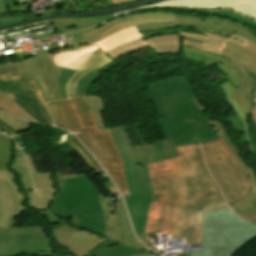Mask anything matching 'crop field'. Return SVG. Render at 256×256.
Returning a JSON list of instances; mask_svg holds the SVG:
<instances>
[{"label": "crop field", "instance_id": "1", "mask_svg": "<svg viewBox=\"0 0 256 256\" xmlns=\"http://www.w3.org/2000/svg\"><path fill=\"white\" fill-rule=\"evenodd\" d=\"M148 95L162 119L157 120L165 137L148 144L138 123L133 124L140 145L132 146L126 127L109 129L124 163L130 195L123 196L133 228L149 248L157 250L144 233L153 189L147 165L176 158L175 146L218 140L198 109L192 86L183 77H172L148 86ZM137 213V214H136Z\"/></svg>", "mask_w": 256, "mask_h": 256}, {"label": "crop field", "instance_id": "2", "mask_svg": "<svg viewBox=\"0 0 256 256\" xmlns=\"http://www.w3.org/2000/svg\"><path fill=\"white\" fill-rule=\"evenodd\" d=\"M176 148L179 158L148 166L154 197L145 232L170 233L185 238L186 244H201L202 213L226 204L206 169L200 146Z\"/></svg>", "mask_w": 256, "mask_h": 256}, {"label": "crop field", "instance_id": "3", "mask_svg": "<svg viewBox=\"0 0 256 256\" xmlns=\"http://www.w3.org/2000/svg\"><path fill=\"white\" fill-rule=\"evenodd\" d=\"M63 182L64 191L56 193L51 211L64 219L72 216L74 219L69 223L74 226L152 253L131 231L121 198L117 205V214L111 216L107 200L99 194L95 184L87 177L66 179Z\"/></svg>", "mask_w": 256, "mask_h": 256}, {"label": "crop field", "instance_id": "4", "mask_svg": "<svg viewBox=\"0 0 256 256\" xmlns=\"http://www.w3.org/2000/svg\"><path fill=\"white\" fill-rule=\"evenodd\" d=\"M175 21L168 13L137 14L111 22L99 30L94 27L64 35L65 46L46 49L56 66L77 70L94 53L107 52L121 44L141 38L135 24L143 22Z\"/></svg>", "mask_w": 256, "mask_h": 256}, {"label": "crop field", "instance_id": "5", "mask_svg": "<svg viewBox=\"0 0 256 256\" xmlns=\"http://www.w3.org/2000/svg\"><path fill=\"white\" fill-rule=\"evenodd\" d=\"M256 237V227L228 207L203 214L201 250L190 256H228Z\"/></svg>", "mask_w": 256, "mask_h": 256}, {"label": "crop field", "instance_id": "6", "mask_svg": "<svg viewBox=\"0 0 256 256\" xmlns=\"http://www.w3.org/2000/svg\"><path fill=\"white\" fill-rule=\"evenodd\" d=\"M209 171L218 183L227 202H236L249 193L248 183L241 169L221 140L201 144Z\"/></svg>", "mask_w": 256, "mask_h": 256}, {"label": "crop field", "instance_id": "7", "mask_svg": "<svg viewBox=\"0 0 256 256\" xmlns=\"http://www.w3.org/2000/svg\"><path fill=\"white\" fill-rule=\"evenodd\" d=\"M182 49L212 57L222 63L217 67L227 76L229 80L223 85L217 87L225 96L223 100L232 109L244 126V121L252 107L253 93L256 91L253 81L243 74L230 61L222 57L189 47L182 46Z\"/></svg>", "mask_w": 256, "mask_h": 256}, {"label": "crop field", "instance_id": "8", "mask_svg": "<svg viewBox=\"0 0 256 256\" xmlns=\"http://www.w3.org/2000/svg\"><path fill=\"white\" fill-rule=\"evenodd\" d=\"M0 91L23 108L38 123L53 126L44 106L47 101L35 78L24 81L18 70L1 72Z\"/></svg>", "mask_w": 256, "mask_h": 256}, {"label": "crop field", "instance_id": "9", "mask_svg": "<svg viewBox=\"0 0 256 256\" xmlns=\"http://www.w3.org/2000/svg\"><path fill=\"white\" fill-rule=\"evenodd\" d=\"M76 136L103 165L122 195L129 194L124 178L123 164L109 130L78 133Z\"/></svg>", "mask_w": 256, "mask_h": 256}, {"label": "crop field", "instance_id": "10", "mask_svg": "<svg viewBox=\"0 0 256 256\" xmlns=\"http://www.w3.org/2000/svg\"><path fill=\"white\" fill-rule=\"evenodd\" d=\"M55 126L72 132L97 130L86 97L48 103Z\"/></svg>", "mask_w": 256, "mask_h": 256}, {"label": "crop field", "instance_id": "11", "mask_svg": "<svg viewBox=\"0 0 256 256\" xmlns=\"http://www.w3.org/2000/svg\"><path fill=\"white\" fill-rule=\"evenodd\" d=\"M37 55L17 63L24 80L35 77L48 102L62 99L57 80L63 68L54 66L44 50L37 51Z\"/></svg>", "mask_w": 256, "mask_h": 256}, {"label": "crop field", "instance_id": "12", "mask_svg": "<svg viewBox=\"0 0 256 256\" xmlns=\"http://www.w3.org/2000/svg\"><path fill=\"white\" fill-rule=\"evenodd\" d=\"M27 254L55 256L51 246V239H48L46 234H0V256H14Z\"/></svg>", "mask_w": 256, "mask_h": 256}, {"label": "crop field", "instance_id": "13", "mask_svg": "<svg viewBox=\"0 0 256 256\" xmlns=\"http://www.w3.org/2000/svg\"><path fill=\"white\" fill-rule=\"evenodd\" d=\"M14 180L15 176L10 170L0 168V227L6 230L13 226L16 216L27 211L26 207L20 206L26 197L11 183Z\"/></svg>", "mask_w": 256, "mask_h": 256}, {"label": "crop field", "instance_id": "14", "mask_svg": "<svg viewBox=\"0 0 256 256\" xmlns=\"http://www.w3.org/2000/svg\"><path fill=\"white\" fill-rule=\"evenodd\" d=\"M158 8L230 9L256 20V0H165Z\"/></svg>", "mask_w": 256, "mask_h": 256}, {"label": "crop field", "instance_id": "15", "mask_svg": "<svg viewBox=\"0 0 256 256\" xmlns=\"http://www.w3.org/2000/svg\"><path fill=\"white\" fill-rule=\"evenodd\" d=\"M176 24H192L206 26L212 29L224 31L228 34L236 33L256 41V35L248 28L239 26L233 22L215 18H194L176 15V22L144 23L137 25L140 32L157 29L177 28Z\"/></svg>", "mask_w": 256, "mask_h": 256}, {"label": "crop field", "instance_id": "16", "mask_svg": "<svg viewBox=\"0 0 256 256\" xmlns=\"http://www.w3.org/2000/svg\"><path fill=\"white\" fill-rule=\"evenodd\" d=\"M197 105L199 106L200 110L205 111L206 108L200 105L198 99L194 100ZM201 111V112H202ZM208 121L211 123L213 128L215 129L217 135L220 137L222 142L225 144V146L229 149V151L232 153L235 161L238 163L242 171L244 172L248 182H252L251 191L247 195V197L243 200H240L232 205H230V209L236 212L238 215L242 214L244 212L250 211L255 207V205L250 201L252 199H256V175L254 172L248 167V165L245 163L243 158L241 157L240 153L237 151L233 143L230 141L224 127L220 123L219 120H214L213 117H207ZM252 194V195H251ZM235 213V214H236Z\"/></svg>", "mask_w": 256, "mask_h": 256}, {"label": "crop field", "instance_id": "17", "mask_svg": "<svg viewBox=\"0 0 256 256\" xmlns=\"http://www.w3.org/2000/svg\"><path fill=\"white\" fill-rule=\"evenodd\" d=\"M178 34L182 35V44L195 46L218 55H220L227 41L256 53V44L238 35H232L228 40V37L197 29L193 33L178 32Z\"/></svg>", "mask_w": 256, "mask_h": 256}, {"label": "crop field", "instance_id": "18", "mask_svg": "<svg viewBox=\"0 0 256 256\" xmlns=\"http://www.w3.org/2000/svg\"><path fill=\"white\" fill-rule=\"evenodd\" d=\"M52 233L55 234L61 245L75 256H87L88 251L94 245L106 238V236L93 234L69 223L53 230Z\"/></svg>", "mask_w": 256, "mask_h": 256}, {"label": "crop field", "instance_id": "19", "mask_svg": "<svg viewBox=\"0 0 256 256\" xmlns=\"http://www.w3.org/2000/svg\"><path fill=\"white\" fill-rule=\"evenodd\" d=\"M30 168L36 192H28L31 206L36 210L50 209V203L54 194L58 191L53 187V179L50 172L38 174L33 163L32 155H25ZM57 180L60 190H63L61 172H57Z\"/></svg>", "mask_w": 256, "mask_h": 256}, {"label": "crop field", "instance_id": "20", "mask_svg": "<svg viewBox=\"0 0 256 256\" xmlns=\"http://www.w3.org/2000/svg\"><path fill=\"white\" fill-rule=\"evenodd\" d=\"M157 9L156 4H150V5H145L141 7L134 8L132 10H125L121 13H115L107 16H97V17H90V18H64V19H52L49 20L53 32H46V33H41L35 35L37 40L48 38L49 35L51 34H65L68 32L75 31L77 29H83L92 25H96L99 23H102L108 19L125 15L128 13L140 11V10H153Z\"/></svg>", "mask_w": 256, "mask_h": 256}, {"label": "crop field", "instance_id": "21", "mask_svg": "<svg viewBox=\"0 0 256 256\" xmlns=\"http://www.w3.org/2000/svg\"><path fill=\"white\" fill-rule=\"evenodd\" d=\"M221 55L227 57L229 60L236 63L244 71L256 73V54L255 53L250 52L246 49L237 47L230 43H227Z\"/></svg>", "mask_w": 256, "mask_h": 256}, {"label": "crop field", "instance_id": "22", "mask_svg": "<svg viewBox=\"0 0 256 256\" xmlns=\"http://www.w3.org/2000/svg\"><path fill=\"white\" fill-rule=\"evenodd\" d=\"M143 252V250L105 239L94 246L92 250L89 251L88 256H130L132 254Z\"/></svg>", "mask_w": 256, "mask_h": 256}, {"label": "crop field", "instance_id": "23", "mask_svg": "<svg viewBox=\"0 0 256 256\" xmlns=\"http://www.w3.org/2000/svg\"><path fill=\"white\" fill-rule=\"evenodd\" d=\"M114 61L106 56L102 51L94 55L79 71L73 76L70 83L67 86L69 98L75 97V88L83 75L93 69H101Z\"/></svg>", "mask_w": 256, "mask_h": 256}, {"label": "crop field", "instance_id": "24", "mask_svg": "<svg viewBox=\"0 0 256 256\" xmlns=\"http://www.w3.org/2000/svg\"><path fill=\"white\" fill-rule=\"evenodd\" d=\"M156 55L181 52V36L165 35L146 39Z\"/></svg>", "mask_w": 256, "mask_h": 256}, {"label": "crop field", "instance_id": "25", "mask_svg": "<svg viewBox=\"0 0 256 256\" xmlns=\"http://www.w3.org/2000/svg\"><path fill=\"white\" fill-rule=\"evenodd\" d=\"M145 48H148V46H147L144 38H142V39H138L133 42L124 44L118 48H115V49L107 52L106 54L110 55L112 58H114L116 60L122 56L131 54L135 51L142 50Z\"/></svg>", "mask_w": 256, "mask_h": 256}, {"label": "crop field", "instance_id": "26", "mask_svg": "<svg viewBox=\"0 0 256 256\" xmlns=\"http://www.w3.org/2000/svg\"><path fill=\"white\" fill-rule=\"evenodd\" d=\"M1 93V92H0ZM0 109L5 110V113L10 115L35 122L28 114H26L21 108L14 104L7 97L0 94Z\"/></svg>", "mask_w": 256, "mask_h": 256}, {"label": "crop field", "instance_id": "27", "mask_svg": "<svg viewBox=\"0 0 256 256\" xmlns=\"http://www.w3.org/2000/svg\"><path fill=\"white\" fill-rule=\"evenodd\" d=\"M116 65L115 63L110 65V66H114ZM110 66L104 68V69H107L109 68ZM102 69V70H104ZM98 71V70H94L88 74H86L83 79L80 81V83L78 84L77 86V89H76V94H77V97L80 96H85L88 89H89V86L98 79V77L100 76V72L102 71Z\"/></svg>", "mask_w": 256, "mask_h": 256}, {"label": "crop field", "instance_id": "28", "mask_svg": "<svg viewBox=\"0 0 256 256\" xmlns=\"http://www.w3.org/2000/svg\"><path fill=\"white\" fill-rule=\"evenodd\" d=\"M12 157V142L9 137L0 134V167H8Z\"/></svg>", "mask_w": 256, "mask_h": 256}, {"label": "crop field", "instance_id": "29", "mask_svg": "<svg viewBox=\"0 0 256 256\" xmlns=\"http://www.w3.org/2000/svg\"><path fill=\"white\" fill-rule=\"evenodd\" d=\"M87 99H88V102L91 106L93 116L96 120V123H97L99 129L105 128V125H104V122H103V119H102V115H101V112H103L104 109H103L100 97L87 96Z\"/></svg>", "mask_w": 256, "mask_h": 256}, {"label": "crop field", "instance_id": "30", "mask_svg": "<svg viewBox=\"0 0 256 256\" xmlns=\"http://www.w3.org/2000/svg\"><path fill=\"white\" fill-rule=\"evenodd\" d=\"M68 145L72 146L91 166L93 170L101 168L99 164L92 158V156L86 151V149L79 143V141L75 137L71 136Z\"/></svg>", "mask_w": 256, "mask_h": 256}, {"label": "crop field", "instance_id": "31", "mask_svg": "<svg viewBox=\"0 0 256 256\" xmlns=\"http://www.w3.org/2000/svg\"><path fill=\"white\" fill-rule=\"evenodd\" d=\"M192 12H199V13H206V14L222 16V17L230 18V19L240 21V22H243V23H247V24H250V25L256 27V22L255 21L243 18V17H241L239 15H236V14H234L232 12H229V11H192Z\"/></svg>", "mask_w": 256, "mask_h": 256}, {"label": "crop field", "instance_id": "32", "mask_svg": "<svg viewBox=\"0 0 256 256\" xmlns=\"http://www.w3.org/2000/svg\"><path fill=\"white\" fill-rule=\"evenodd\" d=\"M0 233L1 234H38V233H45V230L41 226L10 228L7 231L0 228Z\"/></svg>", "mask_w": 256, "mask_h": 256}, {"label": "crop field", "instance_id": "33", "mask_svg": "<svg viewBox=\"0 0 256 256\" xmlns=\"http://www.w3.org/2000/svg\"><path fill=\"white\" fill-rule=\"evenodd\" d=\"M0 121L14 129L16 132L25 131L33 127L30 124L0 114Z\"/></svg>", "mask_w": 256, "mask_h": 256}, {"label": "crop field", "instance_id": "34", "mask_svg": "<svg viewBox=\"0 0 256 256\" xmlns=\"http://www.w3.org/2000/svg\"><path fill=\"white\" fill-rule=\"evenodd\" d=\"M12 169L16 170L18 174H23L24 176L21 177L22 184L26 187V190H33L30 175L27 171V167H21L18 159L15 160L14 164L11 166Z\"/></svg>", "mask_w": 256, "mask_h": 256}, {"label": "crop field", "instance_id": "35", "mask_svg": "<svg viewBox=\"0 0 256 256\" xmlns=\"http://www.w3.org/2000/svg\"><path fill=\"white\" fill-rule=\"evenodd\" d=\"M75 73L73 70L69 69H63L62 74L59 78L58 84H59V91L61 93V96L63 99L68 98L67 93L65 92V85L67 84L68 80L71 78V76Z\"/></svg>", "mask_w": 256, "mask_h": 256}, {"label": "crop field", "instance_id": "36", "mask_svg": "<svg viewBox=\"0 0 256 256\" xmlns=\"http://www.w3.org/2000/svg\"><path fill=\"white\" fill-rule=\"evenodd\" d=\"M141 34L144 38L165 35V34H177V29L149 31V32H143Z\"/></svg>", "mask_w": 256, "mask_h": 256}, {"label": "crop field", "instance_id": "37", "mask_svg": "<svg viewBox=\"0 0 256 256\" xmlns=\"http://www.w3.org/2000/svg\"><path fill=\"white\" fill-rule=\"evenodd\" d=\"M252 202L256 205V200H253ZM239 216L243 217L244 219H246L256 225V209H254L250 212L244 213L242 215H239Z\"/></svg>", "mask_w": 256, "mask_h": 256}, {"label": "crop field", "instance_id": "38", "mask_svg": "<svg viewBox=\"0 0 256 256\" xmlns=\"http://www.w3.org/2000/svg\"><path fill=\"white\" fill-rule=\"evenodd\" d=\"M13 69H18L16 63L0 65V72L1 71L13 70Z\"/></svg>", "mask_w": 256, "mask_h": 256}, {"label": "crop field", "instance_id": "39", "mask_svg": "<svg viewBox=\"0 0 256 256\" xmlns=\"http://www.w3.org/2000/svg\"><path fill=\"white\" fill-rule=\"evenodd\" d=\"M9 4L6 0H0V13L9 12L8 8Z\"/></svg>", "mask_w": 256, "mask_h": 256}, {"label": "crop field", "instance_id": "40", "mask_svg": "<svg viewBox=\"0 0 256 256\" xmlns=\"http://www.w3.org/2000/svg\"><path fill=\"white\" fill-rule=\"evenodd\" d=\"M0 126H1V129L6 131L8 134H10V135L16 134L17 135V133L14 130H12L11 128H9L8 126H6L5 124H3L1 122H0Z\"/></svg>", "mask_w": 256, "mask_h": 256}, {"label": "crop field", "instance_id": "41", "mask_svg": "<svg viewBox=\"0 0 256 256\" xmlns=\"http://www.w3.org/2000/svg\"><path fill=\"white\" fill-rule=\"evenodd\" d=\"M255 98H256V96H255ZM250 118H251V120H252V122H253V124H254V126L256 128V99L254 101V110L251 113Z\"/></svg>", "mask_w": 256, "mask_h": 256}, {"label": "crop field", "instance_id": "42", "mask_svg": "<svg viewBox=\"0 0 256 256\" xmlns=\"http://www.w3.org/2000/svg\"><path fill=\"white\" fill-rule=\"evenodd\" d=\"M248 76H250L253 81L256 83V74H252V73H248V72H245Z\"/></svg>", "mask_w": 256, "mask_h": 256}, {"label": "crop field", "instance_id": "43", "mask_svg": "<svg viewBox=\"0 0 256 256\" xmlns=\"http://www.w3.org/2000/svg\"><path fill=\"white\" fill-rule=\"evenodd\" d=\"M133 256H157V255L148 254V253H143V254H136V255H133Z\"/></svg>", "mask_w": 256, "mask_h": 256}, {"label": "crop field", "instance_id": "44", "mask_svg": "<svg viewBox=\"0 0 256 256\" xmlns=\"http://www.w3.org/2000/svg\"><path fill=\"white\" fill-rule=\"evenodd\" d=\"M133 1H137V0H131V1L122 2V3H128V2H133ZM122 3H116L115 5L122 4Z\"/></svg>", "mask_w": 256, "mask_h": 256}, {"label": "crop field", "instance_id": "45", "mask_svg": "<svg viewBox=\"0 0 256 256\" xmlns=\"http://www.w3.org/2000/svg\"><path fill=\"white\" fill-rule=\"evenodd\" d=\"M113 3H116V2H122V1H127V0H112Z\"/></svg>", "mask_w": 256, "mask_h": 256}, {"label": "crop field", "instance_id": "46", "mask_svg": "<svg viewBox=\"0 0 256 256\" xmlns=\"http://www.w3.org/2000/svg\"><path fill=\"white\" fill-rule=\"evenodd\" d=\"M180 256H185V253L182 252V255H180Z\"/></svg>", "mask_w": 256, "mask_h": 256}, {"label": "crop field", "instance_id": "47", "mask_svg": "<svg viewBox=\"0 0 256 256\" xmlns=\"http://www.w3.org/2000/svg\"><path fill=\"white\" fill-rule=\"evenodd\" d=\"M232 255V254H231ZM233 256V255H232Z\"/></svg>", "mask_w": 256, "mask_h": 256}, {"label": "crop field", "instance_id": "48", "mask_svg": "<svg viewBox=\"0 0 256 256\" xmlns=\"http://www.w3.org/2000/svg\"><path fill=\"white\" fill-rule=\"evenodd\" d=\"M1 131V130H0Z\"/></svg>", "mask_w": 256, "mask_h": 256}]
</instances>
